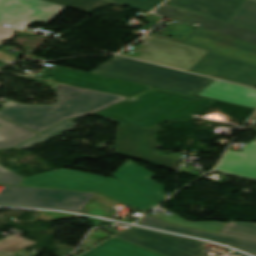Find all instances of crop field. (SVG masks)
Here are the masks:
<instances>
[{
	"instance_id": "120bbe31",
	"label": "crop field",
	"mask_w": 256,
	"mask_h": 256,
	"mask_svg": "<svg viewBox=\"0 0 256 256\" xmlns=\"http://www.w3.org/2000/svg\"><path fill=\"white\" fill-rule=\"evenodd\" d=\"M245 252H247V251H245ZM248 253H250V254H252V255L256 256V254H255V253H251V252H248Z\"/></svg>"
},
{
	"instance_id": "5a996713",
	"label": "crop field",
	"mask_w": 256,
	"mask_h": 256,
	"mask_svg": "<svg viewBox=\"0 0 256 256\" xmlns=\"http://www.w3.org/2000/svg\"><path fill=\"white\" fill-rule=\"evenodd\" d=\"M147 37L152 38L149 40L146 39ZM139 41L144 43L137 49V51L143 54L137 57V59L187 71L207 52V50L149 35Z\"/></svg>"
},
{
	"instance_id": "f4fd0767",
	"label": "crop field",
	"mask_w": 256,
	"mask_h": 256,
	"mask_svg": "<svg viewBox=\"0 0 256 256\" xmlns=\"http://www.w3.org/2000/svg\"><path fill=\"white\" fill-rule=\"evenodd\" d=\"M21 185L97 192L144 212L158 204L117 180L65 168L27 177Z\"/></svg>"
},
{
	"instance_id": "bd1437ed",
	"label": "crop field",
	"mask_w": 256,
	"mask_h": 256,
	"mask_svg": "<svg viewBox=\"0 0 256 256\" xmlns=\"http://www.w3.org/2000/svg\"><path fill=\"white\" fill-rule=\"evenodd\" d=\"M8 62L0 61V66L7 64Z\"/></svg>"
},
{
	"instance_id": "3316defc",
	"label": "crop field",
	"mask_w": 256,
	"mask_h": 256,
	"mask_svg": "<svg viewBox=\"0 0 256 256\" xmlns=\"http://www.w3.org/2000/svg\"><path fill=\"white\" fill-rule=\"evenodd\" d=\"M65 9L42 0H0V25L24 31L35 20L49 23Z\"/></svg>"
},
{
	"instance_id": "214f88e0",
	"label": "crop field",
	"mask_w": 256,
	"mask_h": 256,
	"mask_svg": "<svg viewBox=\"0 0 256 256\" xmlns=\"http://www.w3.org/2000/svg\"><path fill=\"white\" fill-rule=\"evenodd\" d=\"M219 234L256 242V223L229 221Z\"/></svg>"
},
{
	"instance_id": "4a817a6b",
	"label": "crop field",
	"mask_w": 256,
	"mask_h": 256,
	"mask_svg": "<svg viewBox=\"0 0 256 256\" xmlns=\"http://www.w3.org/2000/svg\"><path fill=\"white\" fill-rule=\"evenodd\" d=\"M80 256H162L124 240L112 237Z\"/></svg>"
},
{
	"instance_id": "d9b57169",
	"label": "crop field",
	"mask_w": 256,
	"mask_h": 256,
	"mask_svg": "<svg viewBox=\"0 0 256 256\" xmlns=\"http://www.w3.org/2000/svg\"><path fill=\"white\" fill-rule=\"evenodd\" d=\"M244 0H168L174 4L197 12L229 21Z\"/></svg>"
},
{
	"instance_id": "e52e79f7",
	"label": "crop field",
	"mask_w": 256,
	"mask_h": 256,
	"mask_svg": "<svg viewBox=\"0 0 256 256\" xmlns=\"http://www.w3.org/2000/svg\"><path fill=\"white\" fill-rule=\"evenodd\" d=\"M158 130V125L150 129L120 125L115 153L178 170L180 163L178 155H156L154 134Z\"/></svg>"
},
{
	"instance_id": "28ad6ade",
	"label": "crop field",
	"mask_w": 256,
	"mask_h": 256,
	"mask_svg": "<svg viewBox=\"0 0 256 256\" xmlns=\"http://www.w3.org/2000/svg\"><path fill=\"white\" fill-rule=\"evenodd\" d=\"M50 72L53 76V79L46 78L47 80L128 97H132L152 88L140 84L58 66H55Z\"/></svg>"
},
{
	"instance_id": "22f410ed",
	"label": "crop field",
	"mask_w": 256,
	"mask_h": 256,
	"mask_svg": "<svg viewBox=\"0 0 256 256\" xmlns=\"http://www.w3.org/2000/svg\"><path fill=\"white\" fill-rule=\"evenodd\" d=\"M112 176L158 203L166 198L164 186L152 179L157 175L129 159Z\"/></svg>"
},
{
	"instance_id": "cbeb9de0",
	"label": "crop field",
	"mask_w": 256,
	"mask_h": 256,
	"mask_svg": "<svg viewBox=\"0 0 256 256\" xmlns=\"http://www.w3.org/2000/svg\"><path fill=\"white\" fill-rule=\"evenodd\" d=\"M197 95L256 109V90L217 80Z\"/></svg>"
},
{
	"instance_id": "92a150f3",
	"label": "crop field",
	"mask_w": 256,
	"mask_h": 256,
	"mask_svg": "<svg viewBox=\"0 0 256 256\" xmlns=\"http://www.w3.org/2000/svg\"><path fill=\"white\" fill-rule=\"evenodd\" d=\"M230 22L256 30V1L245 0Z\"/></svg>"
},
{
	"instance_id": "1d83c4d3",
	"label": "crop field",
	"mask_w": 256,
	"mask_h": 256,
	"mask_svg": "<svg viewBox=\"0 0 256 256\" xmlns=\"http://www.w3.org/2000/svg\"><path fill=\"white\" fill-rule=\"evenodd\" d=\"M135 99H136V96H135V97L130 98L129 100L133 101V100H135Z\"/></svg>"
},
{
	"instance_id": "d3111659",
	"label": "crop field",
	"mask_w": 256,
	"mask_h": 256,
	"mask_svg": "<svg viewBox=\"0 0 256 256\" xmlns=\"http://www.w3.org/2000/svg\"><path fill=\"white\" fill-rule=\"evenodd\" d=\"M18 55L6 53L5 47H0V59L12 61L15 60Z\"/></svg>"
},
{
	"instance_id": "a9b5d70f",
	"label": "crop field",
	"mask_w": 256,
	"mask_h": 256,
	"mask_svg": "<svg viewBox=\"0 0 256 256\" xmlns=\"http://www.w3.org/2000/svg\"><path fill=\"white\" fill-rule=\"evenodd\" d=\"M2 240L3 241H0V252L8 255L36 243L34 241L12 237H7Z\"/></svg>"
},
{
	"instance_id": "ac0d7876",
	"label": "crop field",
	"mask_w": 256,
	"mask_h": 256,
	"mask_svg": "<svg viewBox=\"0 0 256 256\" xmlns=\"http://www.w3.org/2000/svg\"><path fill=\"white\" fill-rule=\"evenodd\" d=\"M212 103L153 88L137 95L133 102L126 100L95 114L117 123L148 128L156 123L185 121Z\"/></svg>"
},
{
	"instance_id": "ae1a2a85",
	"label": "crop field",
	"mask_w": 256,
	"mask_h": 256,
	"mask_svg": "<svg viewBox=\"0 0 256 256\" xmlns=\"http://www.w3.org/2000/svg\"><path fill=\"white\" fill-rule=\"evenodd\" d=\"M48 138H50V137H46V136H42V135L38 134L35 137H33V138H31V139H29V140H27V141H25V142L15 146V147L18 148V149L31 147V146H33L35 144H38V143H40V142H42V141H44V140H46Z\"/></svg>"
},
{
	"instance_id": "dd49c442",
	"label": "crop field",
	"mask_w": 256,
	"mask_h": 256,
	"mask_svg": "<svg viewBox=\"0 0 256 256\" xmlns=\"http://www.w3.org/2000/svg\"><path fill=\"white\" fill-rule=\"evenodd\" d=\"M95 194L6 186L0 205L36 206L79 212Z\"/></svg>"
},
{
	"instance_id": "bc2a9ffb",
	"label": "crop field",
	"mask_w": 256,
	"mask_h": 256,
	"mask_svg": "<svg viewBox=\"0 0 256 256\" xmlns=\"http://www.w3.org/2000/svg\"><path fill=\"white\" fill-rule=\"evenodd\" d=\"M37 133L0 118V149L11 148Z\"/></svg>"
},
{
	"instance_id": "00972430",
	"label": "crop field",
	"mask_w": 256,
	"mask_h": 256,
	"mask_svg": "<svg viewBox=\"0 0 256 256\" xmlns=\"http://www.w3.org/2000/svg\"><path fill=\"white\" fill-rule=\"evenodd\" d=\"M58 5H62L65 7L81 10V11H89L96 6L108 5L111 2L104 0H45Z\"/></svg>"
},
{
	"instance_id": "412701ff",
	"label": "crop field",
	"mask_w": 256,
	"mask_h": 256,
	"mask_svg": "<svg viewBox=\"0 0 256 256\" xmlns=\"http://www.w3.org/2000/svg\"><path fill=\"white\" fill-rule=\"evenodd\" d=\"M91 72L193 96L214 81L124 57L111 58Z\"/></svg>"
},
{
	"instance_id": "730fd06b",
	"label": "crop field",
	"mask_w": 256,
	"mask_h": 256,
	"mask_svg": "<svg viewBox=\"0 0 256 256\" xmlns=\"http://www.w3.org/2000/svg\"><path fill=\"white\" fill-rule=\"evenodd\" d=\"M77 125L75 123H73L71 120L69 121H65L45 132H43V134L49 135V136H53V137H57L73 128H75Z\"/></svg>"
},
{
	"instance_id": "dafd665d",
	"label": "crop field",
	"mask_w": 256,
	"mask_h": 256,
	"mask_svg": "<svg viewBox=\"0 0 256 256\" xmlns=\"http://www.w3.org/2000/svg\"><path fill=\"white\" fill-rule=\"evenodd\" d=\"M168 212H170V211H168ZM155 216H157L161 219H164L170 223L187 226V227H191V228H195V229L215 232V233H218L226 225V224L220 223V222H189V221H185V220L179 218L178 216H176L173 213L170 215L161 213V214H157Z\"/></svg>"
},
{
	"instance_id": "8a807250",
	"label": "crop field",
	"mask_w": 256,
	"mask_h": 256,
	"mask_svg": "<svg viewBox=\"0 0 256 256\" xmlns=\"http://www.w3.org/2000/svg\"><path fill=\"white\" fill-rule=\"evenodd\" d=\"M149 34L209 50L189 72L256 88V45L199 28L183 41Z\"/></svg>"
},
{
	"instance_id": "d1516ede",
	"label": "crop field",
	"mask_w": 256,
	"mask_h": 256,
	"mask_svg": "<svg viewBox=\"0 0 256 256\" xmlns=\"http://www.w3.org/2000/svg\"><path fill=\"white\" fill-rule=\"evenodd\" d=\"M156 14L188 25L199 24L197 27L227 35L233 38L256 44V31L189 12L169 5H162L155 10Z\"/></svg>"
},
{
	"instance_id": "733c2abd",
	"label": "crop field",
	"mask_w": 256,
	"mask_h": 256,
	"mask_svg": "<svg viewBox=\"0 0 256 256\" xmlns=\"http://www.w3.org/2000/svg\"><path fill=\"white\" fill-rule=\"evenodd\" d=\"M138 224L144 225V226H149V227H154V228H158V229L168 230V231H172V232H177V233H181V234L191 235V236H195V237L205 238V239H214L217 241L231 244L240 249L256 252V243L170 225V224H167V223L160 221L156 218H153L149 215H147L144 219H142L140 222H138Z\"/></svg>"
},
{
	"instance_id": "4177f3b9",
	"label": "crop field",
	"mask_w": 256,
	"mask_h": 256,
	"mask_svg": "<svg viewBox=\"0 0 256 256\" xmlns=\"http://www.w3.org/2000/svg\"><path fill=\"white\" fill-rule=\"evenodd\" d=\"M117 3H121L127 6H131L144 11H150L156 7L161 1L157 0H111Z\"/></svg>"
},
{
	"instance_id": "028f5c9d",
	"label": "crop field",
	"mask_w": 256,
	"mask_h": 256,
	"mask_svg": "<svg viewBox=\"0 0 256 256\" xmlns=\"http://www.w3.org/2000/svg\"><path fill=\"white\" fill-rule=\"evenodd\" d=\"M161 1H163V0H161Z\"/></svg>"
},
{
	"instance_id": "eef30255",
	"label": "crop field",
	"mask_w": 256,
	"mask_h": 256,
	"mask_svg": "<svg viewBox=\"0 0 256 256\" xmlns=\"http://www.w3.org/2000/svg\"><path fill=\"white\" fill-rule=\"evenodd\" d=\"M23 178L0 166V184L20 185Z\"/></svg>"
},
{
	"instance_id": "d8731c3e",
	"label": "crop field",
	"mask_w": 256,
	"mask_h": 256,
	"mask_svg": "<svg viewBox=\"0 0 256 256\" xmlns=\"http://www.w3.org/2000/svg\"><path fill=\"white\" fill-rule=\"evenodd\" d=\"M165 256H205L200 253L205 242L133 227L116 236ZM246 256L233 251L227 256Z\"/></svg>"
},
{
	"instance_id": "5142ce71",
	"label": "crop field",
	"mask_w": 256,
	"mask_h": 256,
	"mask_svg": "<svg viewBox=\"0 0 256 256\" xmlns=\"http://www.w3.org/2000/svg\"><path fill=\"white\" fill-rule=\"evenodd\" d=\"M216 170L256 179V141H250L241 153L227 150Z\"/></svg>"
},
{
	"instance_id": "750c4746",
	"label": "crop field",
	"mask_w": 256,
	"mask_h": 256,
	"mask_svg": "<svg viewBox=\"0 0 256 256\" xmlns=\"http://www.w3.org/2000/svg\"><path fill=\"white\" fill-rule=\"evenodd\" d=\"M14 32H15L14 30L0 27V40L3 38H12ZM0 45H1V43H0Z\"/></svg>"
},
{
	"instance_id": "d32e631a",
	"label": "crop field",
	"mask_w": 256,
	"mask_h": 256,
	"mask_svg": "<svg viewBox=\"0 0 256 256\" xmlns=\"http://www.w3.org/2000/svg\"><path fill=\"white\" fill-rule=\"evenodd\" d=\"M254 119L256 120V114H255V116H254ZM253 140H256V138H254Z\"/></svg>"
},
{
	"instance_id": "34b2d1b8",
	"label": "crop field",
	"mask_w": 256,
	"mask_h": 256,
	"mask_svg": "<svg viewBox=\"0 0 256 256\" xmlns=\"http://www.w3.org/2000/svg\"><path fill=\"white\" fill-rule=\"evenodd\" d=\"M55 92L59 100L54 106L20 105L8 101L0 115L40 132L63 119L89 115L127 99L64 85Z\"/></svg>"
},
{
	"instance_id": "5866460e",
	"label": "crop field",
	"mask_w": 256,
	"mask_h": 256,
	"mask_svg": "<svg viewBox=\"0 0 256 256\" xmlns=\"http://www.w3.org/2000/svg\"><path fill=\"white\" fill-rule=\"evenodd\" d=\"M0 256H3V255H0Z\"/></svg>"
}]
</instances>
